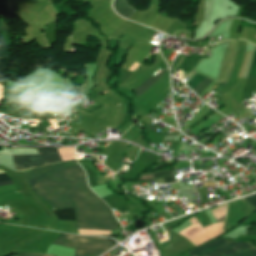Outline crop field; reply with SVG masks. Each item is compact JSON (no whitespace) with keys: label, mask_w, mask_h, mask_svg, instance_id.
Returning <instances> with one entry per match:
<instances>
[{"label":"crop field","mask_w":256,"mask_h":256,"mask_svg":"<svg viewBox=\"0 0 256 256\" xmlns=\"http://www.w3.org/2000/svg\"><path fill=\"white\" fill-rule=\"evenodd\" d=\"M31 188L54 209L74 207L77 228L118 229L111 209L89 188L76 160L50 164L22 172Z\"/></svg>","instance_id":"crop-field-1"},{"label":"crop field","mask_w":256,"mask_h":256,"mask_svg":"<svg viewBox=\"0 0 256 256\" xmlns=\"http://www.w3.org/2000/svg\"><path fill=\"white\" fill-rule=\"evenodd\" d=\"M190 256H256V248L250 242L216 240L188 252Z\"/></svg>","instance_id":"crop-field-2"},{"label":"crop field","mask_w":256,"mask_h":256,"mask_svg":"<svg viewBox=\"0 0 256 256\" xmlns=\"http://www.w3.org/2000/svg\"><path fill=\"white\" fill-rule=\"evenodd\" d=\"M114 242L107 238L60 235L53 244L76 248L74 256H98Z\"/></svg>","instance_id":"crop-field-3"},{"label":"crop field","mask_w":256,"mask_h":256,"mask_svg":"<svg viewBox=\"0 0 256 256\" xmlns=\"http://www.w3.org/2000/svg\"><path fill=\"white\" fill-rule=\"evenodd\" d=\"M39 155H15L13 162L15 170L21 171L41 165L62 161L56 148L37 149Z\"/></svg>","instance_id":"crop-field-4"},{"label":"crop field","mask_w":256,"mask_h":256,"mask_svg":"<svg viewBox=\"0 0 256 256\" xmlns=\"http://www.w3.org/2000/svg\"><path fill=\"white\" fill-rule=\"evenodd\" d=\"M115 10L123 17L129 18L136 10L131 7L126 0H116L114 3Z\"/></svg>","instance_id":"crop-field-5"},{"label":"crop field","mask_w":256,"mask_h":256,"mask_svg":"<svg viewBox=\"0 0 256 256\" xmlns=\"http://www.w3.org/2000/svg\"><path fill=\"white\" fill-rule=\"evenodd\" d=\"M166 70H161L154 77L151 76L145 83H143L140 87H138L136 90H134L136 95H137V97L140 96L142 93H144L148 88H150L161 77V75Z\"/></svg>","instance_id":"crop-field-6"},{"label":"crop field","mask_w":256,"mask_h":256,"mask_svg":"<svg viewBox=\"0 0 256 256\" xmlns=\"http://www.w3.org/2000/svg\"><path fill=\"white\" fill-rule=\"evenodd\" d=\"M52 212L58 216V220H75L73 208L53 210Z\"/></svg>","instance_id":"crop-field-7"},{"label":"crop field","mask_w":256,"mask_h":256,"mask_svg":"<svg viewBox=\"0 0 256 256\" xmlns=\"http://www.w3.org/2000/svg\"><path fill=\"white\" fill-rule=\"evenodd\" d=\"M167 176H173V172L172 171H158L155 173H147L141 176V179H144V181L146 180H150V179H159V178H163V177H167Z\"/></svg>","instance_id":"crop-field-8"},{"label":"crop field","mask_w":256,"mask_h":256,"mask_svg":"<svg viewBox=\"0 0 256 256\" xmlns=\"http://www.w3.org/2000/svg\"><path fill=\"white\" fill-rule=\"evenodd\" d=\"M3 58H9V45H6L0 31V60Z\"/></svg>","instance_id":"crop-field-9"},{"label":"crop field","mask_w":256,"mask_h":256,"mask_svg":"<svg viewBox=\"0 0 256 256\" xmlns=\"http://www.w3.org/2000/svg\"><path fill=\"white\" fill-rule=\"evenodd\" d=\"M211 80H204L200 85H198L193 91L199 96L203 90L208 86Z\"/></svg>","instance_id":"crop-field-10"},{"label":"crop field","mask_w":256,"mask_h":256,"mask_svg":"<svg viewBox=\"0 0 256 256\" xmlns=\"http://www.w3.org/2000/svg\"><path fill=\"white\" fill-rule=\"evenodd\" d=\"M8 179H10V177L7 176L6 174H1L0 175V180H8ZM12 185H15L12 180L0 181V187L12 186Z\"/></svg>","instance_id":"crop-field-11"},{"label":"crop field","mask_w":256,"mask_h":256,"mask_svg":"<svg viewBox=\"0 0 256 256\" xmlns=\"http://www.w3.org/2000/svg\"><path fill=\"white\" fill-rule=\"evenodd\" d=\"M248 77H256V51H254L253 62Z\"/></svg>","instance_id":"crop-field-12"},{"label":"crop field","mask_w":256,"mask_h":256,"mask_svg":"<svg viewBox=\"0 0 256 256\" xmlns=\"http://www.w3.org/2000/svg\"><path fill=\"white\" fill-rule=\"evenodd\" d=\"M250 204L256 207V194L245 198Z\"/></svg>","instance_id":"crop-field-13"},{"label":"crop field","mask_w":256,"mask_h":256,"mask_svg":"<svg viewBox=\"0 0 256 256\" xmlns=\"http://www.w3.org/2000/svg\"><path fill=\"white\" fill-rule=\"evenodd\" d=\"M14 256H49V255H39V254H30V253H23V254H17Z\"/></svg>","instance_id":"crop-field-14"},{"label":"crop field","mask_w":256,"mask_h":256,"mask_svg":"<svg viewBox=\"0 0 256 256\" xmlns=\"http://www.w3.org/2000/svg\"><path fill=\"white\" fill-rule=\"evenodd\" d=\"M139 65H140V64H138V63L135 62V63L128 69V71L133 72Z\"/></svg>","instance_id":"crop-field-15"},{"label":"crop field","mask_w":256,"mask_h":256,"mask_svg":"<svg viewBox=\"0 0 256 256\" xmlns=\"http://www.w3.org/2000/svg\"><path fill=\"white\" fill-rule=\"evenodd\" d=\"M246 235H256V231H247Z\"/></svg>","instance_id":"crop-field-16"}]
</instances>
